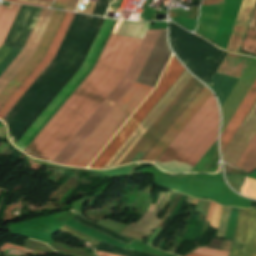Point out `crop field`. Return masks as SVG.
Here are the masks:
<instances>
[{"label":"crop field","mask_w":256,"mask_h":256,"mask_svg":"<svg viewBox=\"0 0 256 256\" xmlns=\"http://www.w3.org/2000/svg\"><path fill=\"white\" fill-rule=\"evenodd\" d=\"M185 69L173 56L158 88L124 127V129L118 134L98 160L93 164L91 168L102 169L119 147L125 142L140 122L146 117L161 97L167 92L177 78L182 74Z\"/></svg>","instance_id":"7"},{"label":"crop field","mask_w":256,"mask_h":256,"mask_svg":"<svg viewBox=\"0 0 256 256\" xmlns=\"http://www.w3.org/2000/svg\"><path fill=\"white\" fill-rule=\"evenodd\" d=\"M162 30H148L124 78L53 161L65 165L104 117L135 82Z\"/></svg>","instance_id":"4"},{"label":"crop field","mask_w":256,"mask_h":256,"mask_svg":"<svg viewBox=\"0 0 256 256\" xmlns=\"http://www.w3.org/2000/svg\"><path fill=\"white\" fill-rule=\"evenodd\" d=\"M230 209L231 208H227V207L223 208V212H222V215H221V219H220V223H219V227H218L216 237L224 238Z\"/></svg>","instance_id":"23"},{"label":"crop field","mask_w":256,"mask_h":256,"mask_svg":"<svg viewBox=\"0 0 256 256\" xmlns=\"http://www.w3.org/2000/svg\"><path fill=\"white\" fill-rule=\"evenodd\" d=\"M242 50L249 54L256 55V6L246 33Z\"/></svg>","instance_id":"19"},{"label":"crop field","mask_w":256,"mask_h":256,"mask_svg":"<svg viewBox=\"0 0 256 256\" xmlns=\"http://www.w3.org/2000/svg\"><path fill=\"white\" fill-rule=\"evenodd\" d=\"M191 77L192 76L189 75L186 70L183 72V74L178 78V80L173 84V86L168 90V92L162 97V99L157 103V105L152 109V111L147 115V117L141 122V124L136 128V130L131 134V136L126 140V142L120 147V149L115 153V155L110 159V161L105 165L103 169L115 167L119 164V162L130 151V149L135 145V143L146 132V130L157 119V117L168 106V104L173 100V98L178 94V92L184 87V85L189 81Z\"/></svg>","instance_id":"9"},{"label":"crop field","mask_w":256,"mask_h":256,"mask_svg":"<svg viewBox=\"0 0 256 256\" xmlns=\"http://www.w3.org/2000/svg\"><path fill=\"white\" fill-rule=\"evenodd\" d=\"M67 1L68 0H55L51 8L63 10Z\"/></svg>","instance_id":"31"},{"label":"crop field","mask_w":256,"mask_h":256,"mask_svg":"<svg viewBox=\"0 0 256 256\" xmlns=\"http://www.w3.org/2000/svg\"><path fill=\"white\" fill-rule=\"evenodd\" d=\"M243 195L256 198V181L247 178L246 183L243 186Z\"/></svg>","instance_id":"24"},{"label":"crop field","mask_w":256,"mask_h":256,"mask_svg":"<svg viewBox=\"0 0 256 256\" xmlns=\"http://www.w3.org/2000/svg\"><path fill=\"white\" fill-rule=\"evenodd\" d=\"M256 99V81L252 88L247 93L246 97L242 101L241 105L239 106L238 110L234 114L233 118L227 125L226 129L221 135V150L222 152L232 139L233 135L235 134L236 130L240 126L241 122L243 121L244 117L246 116L247 112L251 108L252 104Z\"/></svg>","instance_id":"15"},{"label":"crop field","mask_w":256,"mask_h":256,"mask_svg":"<svg viewBox=\"0 0 256 256\" xmlns=\"http://www.w3.org/2000/svg\"><path fill=\"white\" fill-rule=\"evenodd\" d=\"M236 167L245 170L247 173L253 172L256 168V134L239 159Z\"/></svg>","instance_id":"18"},{"label":"crop field","mask_w":256,"mask_h":256,"mask_svg":"<svg viewBox=\"0 0 256 256\" xmlns=\"http://www.w3.org/2000/svg\"><path fill=\"white\" fill-rule=\"evenodd\" d=\"M213 206H214V203L212 202L211 203V206H210V209H209V212H208V215H207V219L206 220H210L211 218V214H212V211H213Z\"/></svg>","instance_id":"35"},{"label":"crop field","mask_w":256,"mask_h":256,"mask_svg":"<svg viewBox=\"0 0 256 256\" xmlns=\"http://www.w3.org/2000/svg\"><path fill=\"white\" fill-rule=\"evenodd\" d=\"M243 250H244V246L237 243L236 241H233L229 256H243Z\"/></svg>","instance_id":"30"},{"label":"crop field","mask_w":256,"mask_h":256,"mask_svg":"<svg viewBox=\"0 0 256 256\" xmlns=\"http://www.w3.org/2000/svg\"><path fill=\"white\" fill-rule=\"evenodd\" d=\"M20 51V49L4 45L0 47V75L13 61V59L19 54Z\"/></svg>","instance_id":"21"},{"label":"crop field","mask_w":256,"mask_h":256,"mask_svg":"<svg viewBox=\"0 0 256 256\" xmlns=\"http://www.w3.org/2000/svg\"><path fill=\"white\" fill-rule=\"evenodd\" d=\"M152 89L134 83L66 165L88 166Z\"/></svg>","instance_id":"5"},{"label":"crop field","mask_w":256,"mask_h":256,"mask_svg":"<svg viewBox=\"0 0 256 256\" xmlns=\"http://www.w3.org/2000/svg\"><path fill=\"white\" fill-rule=\"evenodd\" d=\"M21 5L9 4L8 7L0 6V46L2 45L11 24Z\"/></svg>","instance_id":"17"},{"label":"crop field","mask_w":256,"mask_h":256,"mask_svg":"<svg viewBox=\"0 0 256 256\" xmlns=\"http://www.w3.org/2000/svg\"><path fill=\"white\" fill-rule=\"evenodd\" d=\"M250 60V57L229 53L227 58L224 60V62L221 64L216 72L237 82ZM216 72L209 85L218 96L222 105L236 82Z\"/></svg>","instance_id":"10"},{"label":"crop field","mask_w":256,"mask_h":256,"mask_svg":"<svg viewBox=\"0 0 256 256\" xmlns=\"http://www.w3.org/2000/svg\"><path fill=\"white\" fill-rule=\"evenodd\" d=\"M97 256H118V255H114V254H109V253H103V252H97L95 251Z\"/></svg>","instance_id":"36"},{"label":"crop field","mask_w":256,"mask_h":256,"mask_svg":"<svg viewBox=\"0 0 256 256\" xmlns=\"http://www.w3.org/2000/svg\"><path fill=\"white\" fill-rule=\"evenodd\" d=\"M218 124L217 103L212 95L157 162L183 163L193 168L216 140Z\"/></svg>","instance_id":"2"},{"label":"crop field","mask_w":256,"mask_h":256,"mask_svg":"<svg viewBox=\"0 0 256 256\" xmlns=\"http://www.w3.org/2000/svg\"><path fill=\"white\" fill-rule=\"evenodd\" d=\"M216 150H217V141L210 148V150L204 155V157L198 162V164L193 168L191 172H199L200 169L205 165V163L210 159V157L214 154Z\"/></svg>","instance_id":"25"},{"label":"crop field","mask_w":256,"mask_h":256,"mask_svg":"<svg viewBox=\"0 0 256 256\" xmlns=\"http://www.w3.org/2000/svg\"><path fill=\"white\" fill-rule=\"evenodd\" d=\"M187 256H202V255L189 254Z\"/></svg>","instance_id":"37"},{"label":"crop field","mask_w":256,"mask_h":256,"mask_svg":"<svg viewBox=\"0 0 256 256\" xmlns=\"http://www.w3.org/2000/svg\"><path fill=\"white\" fill-rule=\"evenodd\" d=\"M114 22L115 20L113 19L105 20L83 66L74 75V77L69 81V83L64 87V89L59 93V95L54 99V101L43 112V114L38 118V120L33 124V126L28 130V132L23 136V138L18 142V144L15 147L23 151L25 147L30 143V141L35 137V135L46 124V122L51 118V116L56 112V110L62 105V103L72 93V91L78 86V84L88 74Z\"/></svg>","instance_id":"6"},{"label":"crop field","mask_w":256,"mask_h":256,"mask_svg":"<svg viewBox=\"0 0 256 256\" xmlns=\"http://www.w3.org/2000/svg\"><path fill=\"white\" fill-rule=\"evenodd\" d=\"M211 95L204 87L142 161L154 163Z\"/></svg>","instance_id":"11"},{"label":"crop field","mask_w":256,"mask_h":256,"mask_svg":"<svg viewBox=\"0 0 256 256\" xmlns=\"http://www.w3.org/2000/svg\"><path fill=\"white\" fill-rule=\"evenodd\" d=\"M225 167H226V172H227V174H239V173H243V172H241V171H239V170H237V169L230 168V167H228V166H226V165H225Z\"/></svg>","instance_id":"33"},{"label":"crop field","mask_w":256,"mask_h":256,"mask_svg":"<svg viewBox=\"0 0 256 256\" xmlns=\"http://www.w3.org/2000/svg\"><path fill=\"white\" fill-rule=\"evenodd\" d=\"M256 132V103L223 153V159L235 166Z\"/></svg>","instance_id":"13"},{"label":"crop field","mask_w":256,"mask_h":256,"mask_svg":"<svg viewBox=\"0 0 256 256\" xmlns=\"http://www.w3.org/2000/svg\"><path fill=\"white\" fill-rule=\"evenodd\" d=\"M6 1L35 5V6L50 7L53 0H6Z\"/></svg>","instance_id":"26"},{"label":"crop field","mask_w":256,"mask_h":256,"mask_svg":"<svg viewBox=\"0 0 256 256\" xmlns=\"http://www.w3.org/2000/svg\"><path fill=\"white\" fill-rule=\"evenodd\" d=\"M202 86L192 77L119 165L128 164L141 147L149 150Z\"/></svg>","instance_id":"8"},{"label":"crop field","mask_w":256,"mask_h":256,"mask_svg":"<svg viewBox=\"0 0 256 256\" xmlns=\"http://www.w3.org/2000/svg\"><path fill=\"white\" fill-rule=\"evenodd\" d=\"M197 199H193L192 203L196 204L197 203Z\"/></svg>","instance_id":"38"},{"label":"crop field","mask_w":256,"mask_h":256,"mask_svg":"<svg viewBox=\"0 0 256 256\" xmlns=\"http://www.w3.org/2000/svg\"><path fill=\"white\" fill-rule=\"evenodd\" d=\"M255 1L243 0L226 49L239 51Z\"/></svg>","instance_id":"16"},{"label":"crop field","mask_w":256,"mask_h":256,"mask_svg":"<svg viewBox=\"0 0 256 256\" xmlns=\"http://www.w3.org/2000/svg\"><path fill=\"white\" fill-rule=\"evenodd\" d=\"M53 12L42 9L23 50L0 76V92L33 54ZM64 13L55 10L34 54L0 93V107L44 57Z\"/></svg>","instance_id":"3"},{"label":"crop field","mask_w":256,"mask_h":256,"mask_svg":"<svg viewBox=\"0 0 256 256\" xmlns=\"http://www.w3.org/2000/svg\"><path fill=\"white\" fill-rule=\"evenodd\" d=\"M78 0H70L65 8V10L73 11L74 6Z\"/></svg>","instance_id":"32"},{"label":"crop field","mask_w":256,"mask_h":256,"mask_svg":"<svg viewBox=\"0 0 256 256\" xmlns=\"http://www.w3.org/2000/svg\"><path fill=\"white\" fill-rule=\"evenodd\" d=\"M234 240L245 246L244 256H256V210L239 208Z\"/></svg>","instance_id":"14"},{"label":"crop field","mask_w":256,"mask_h":256,"mask_svg":"<svg viewBox=\"0 0 256 256\" xmlns=\"http://www.w3.org/2000/svg\"><path fill=\"white\" fill-rule=\"evenodd\" d=\"M160 220L157 219V216L151 213L146 212L142 219L133 227L140 232L150 234V232L157 227Z\"/></svg>","instance_id":"20"},{"label":"crop field","mask_w":256,"mask_h":256,"mask_svg":"<svg viewBox=\"0 0 256 256\" xmlns=\"http://www.w3.org/2000/svg\"><path fill=\"white\" fill-rule=\"evenodd\" d=\"M193 253L203 254V255H211V256H228V252L202 249V248H199V249L193 251Z\"/></svg>","instance_id":"28"},{"label":"crop field","mask_w":256,"mask_h":256,"mask_svg":"<svg viewBox=\"0 0 256 256\" xmlns=\"http://www.w3.org/2000/svg\"><path fill=\"white\" fill-rule=\"evenodd\" d=\"M229 184L237 191H239V187L244 181L245 175H237V176H227Z\"/></svg>","instance_id":"27"},{"label":"crop field","mask_w":256,"mask_h":256,"mask_svg":"<svg viewBox=\"0 0 256 256\" xmlns=\"http://www.w3.org/2000/svg\"><path fill=\"white\" fill-rule=\"evenodd\" d=\"M149 22L122 21L116 34L143 39ZM111 34L94 69L24 151L52 162L123 78L142 40Z\"/></svg>","instance_id":"1"},{"label":"crop field","mask_w":256,"mask_h":256,"mask_svg":"<svg viewBox=\"0 0 256 256\" xmlns=\"http://www.w3.org/2000/svg\"><path fill=\"white\" fill-rule=\"evenodd\" d=\"M198 9L199 6L191 7L187 12L170 10V17L197 20Z\"/></svg>","instance_id":"22"},{"label":"crop field","mask_w":256,"mask_h":256,"mask_svg":"<svg viewBox=\"0 0 256 256\" xmlns=\"http://www.w3.org/2000/svg\"><path fill=\"white\" fill-rule=\"evenodd\" d=\"M223 0H203L201 4H215V3H222Z\"/></svg>","instance_id":"34"},{"label":"crop field","mask_w":256,"mask_h":256,"mask_svg":"<svg viewBox=\"0 0 256 256\" xmlns=\"http://www.w3.org/2000/svg\"><path fill=\"white\" fill-rule=\"evenodd\" d=\"M222 208L221 206L215 204V208L213 211V215L211 218V222H210V226L217 228L218 227V223H219V219H220V215L222 212Z\"/></svg>","instance_id":"29"},{"label":"crop field","mask_w":256,"mask_h":256,"mask_svg":"<svg viewBox=\"0 0 256 256\" xmlns=\"http://www.w3.org/2000/svg\"><path fill=\"white\" fill-rule=\"evenodd\" d=\"M74 14L75 13H70V12L66 13L43 60L38 64V66L33 70V72L28 76V78L23 82V84L18 88V90L13 94V96L8 100V102L0 110L1 119L4 117V115L10 110V108L15 104V102L21 97V95L27 90V88L33 83V81L39 76V74L53 59Z\"/></svg>","instance_id":"12"}]
</instances>
